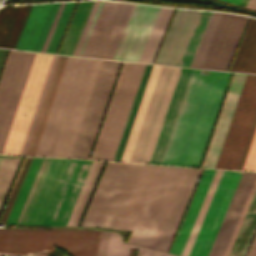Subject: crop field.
<instances>
[{
	"label": "crop field",
	"instance_id": "1",
	"mask_svg": "<svg viewBox=\"0 0 256 256\" xmlns=\"http://www.w3.org/2000/svg\"><path fill=\"white\" fill-rule=\"evenodd\" d=\"M194 69L161 164L176 165L207 75ZM231 73L210 71L177 165L199 167Z\"/></svg>",
	"mask_w": 256,
	"mask_h": 256
},
{
	"label": "crop field",
	"instance_id": "2",
	"mask_svg": "<svg viewBox=\"0 0 256 256\" xmlns=\"http://www.w3.org/2000/svg\"><path fill=\"white\" fill-rule=\"evenodd\" d=\"M101 61L68 58L34 156H69Z\"/></svg>",
	"mask_w": 256,
	"mask_h": 256
},
{
	"label": "crop field",
	"instance_id": "3",
	"mask_svg": "<svg viewBox=\"0 0 256 256\" xmlns=\"http://www.w3.org/2000/svg\"><path fill=\"white\" fill-rule=\"evenodd\" d=\"M188 168L144 165L117 228L128 243L155 248Z\"/></svg>",
	"mask_w": 256,
	"mask_h": 256
},
{
	"label": "crop field",
	"instance_id": "4",
	"mask_svg": "<svg viewBox=\"0 0 256 256\" xmlns=\"http://www.w3.org/2000/svg\"><path fill=\"white\" fill-rule=\"evenodd\" d=\"M105 2L106 1H102L99 6V9L95 15L92 25L85 38V41L78 54L80 56H82L85 51V48L88 44V41L91 37V34L94 30V27L97 23V20L100 16V13L103 9ZM112 3L113 2H110V1L106 2L83 56H86V57L90 56ZM127 5L128 3H119V2L113 3L90 57H95V58L105 57ZM134 5L135 4L128 5L126 12L122 18V21L119 25V28L115 34V37L112 41V44L105 58L111 59V57L113 56ZM159 8L160 7H156V6H148V5H140V4L135 5L133 12L130 16V19L127 23V26L125 28V31L122 35V38L119 42V45L112 59L138 61Z\"/></svg>",
	"mask_w": 256,
	"mask_h": 256
},
{
	"label": "crop field",
	"instance_id": "5",
	"mask_svg": "<svg viewBox=\"0 0 256 256\" xmlns=\"http://www.w3.org/2000/svg\"><path fill=\"white\" fill-rule=\"evenodd\" d=\"M101 231L0 229V254L47 256L55 246L73 256H96Z\"/></svg>",
	"mask_w": 256,
	"mask_h": 256
},
{
	"label": "crop field",
	"instance_id": "6",
	"mask_svg": "<svg viewBox=\"0 0 256 256\" xmlns=\"http://www.w3.org/2000/svg\"><path fill=\"white\" fill-rule=\"evenodd\" d=\"M142 166L108 162L81 226L116 228Z\"/></svg>",
	"mask_w": 256,
	"mask_h": 256
},
{
	"label": "crop field",
	"instance_id": "7",
	"mask_svg": "<svg viewBox=\"0 0 256 256\" xmlns=\"http://www.w3.org/2000/svg\"><path fill=\"white\" fill-rule=\"evenodd\" d=\"M60 3L0 8V47L39 51Z\"/></svg>",
	"mask_w": 256,
	"mask_h": 256
},
{
	"label": "crop field",
	"instance_id": "8",
	"mask_svg": "<svg viewBox=\"0 0 256 256\" xmlns=\"http://www.w3.org/2000/svg\"><path fill=\"white\" fill-rule=\"evenodd\" d=\"M145 66L123 64L91 159H114Z\"/></svg>",
	"mask_w": 256,
	"mask_h": 256
},
{
	"label": "crop field",
	"instance_id": "9",
	"mask_svg": "<svg viewBox=\"0 0 256 256\" xmlns=\"http://www.w3.org/2000/svg\"><path fill=\"white\" fill-rule=\"evenodd\" d=\"M247 19L213 13L190 67L226 70Z\"/></svg>",
	"mask_w": 256,
	"mask_h": 256
},
{
	"label": "crop field",
	"instance_id": "10",
	"mask_svg": "<svg viewBox=\"0 0 256 256\" xmlns=\"http://www.w3.org/2000/svg\"><path fill=\"white\" fill-rule=\"evenodd\" d=\"M180 69L161 67L129 162H149Z\"/></svg>",
	"mask_w": 256,
	"mask_h": 256
},
{
	"label": "crop field",
	"instance_id": "11",
	"mask_svg": "<svg viewBox=\"0 0 256 256\" xmlns=\"http://www.w3.org/2000/svg\"><path fill=\"white\" fill-rule=\"evenodd\" d=\"M120 63L102 61L69 157H89Z\"/></svg>",
	"mask_w": 256,
	"mask_h": 256
},
{
	"label": "crop field",
	"instance_id": "12",
	"mask_svg": "<svg viewBox=\"0 0 256 256\" xmlns=\"http://www.w3.org/2000/svg\"><path fill=\"white\" fill-rule=\"evenodd\" d=\"M36 53L11 51L0 81V153Z\"/></svg>",
	"mask_w": 256,
	"mask_h": 256
},
{
	"label": "crop field",
	"instance_id": "13",
	"mask_svg": "<svg viewBox=\"0 0 256 256\" xmlns=\"http://www.w3.org/2000/svg\"><path fill=\"white\" fill-rule=\"evenodd\" d=\"M53 55L37 53L2 153L19 155Z\"/></svg>",
	"mask_w": 256,
	"mask_h": 256
},
{
	"label": "crop field",
	"instance_id": "14",
	"mask_svg": "<svg viewBox=\"0 0 256 256\" xmlns=\"http://www.w3.org/2000/svg\"><path fill=\"white\" fill-rule=\"evenodd\" d=\"M255 110L256 76L247 75L215 168H236Z\"/></svg>",
	"mask_w": 256,
	"mask_h": 256
},
{
	"label": "crop field",
	"instance_id": "15",
	"mask_svg": "<svg viewBox=\"0 0 256 256\" xmlns=\"http://www.w3.org/2000/svg\"><path fill=\"white\" fill-rule=\"evenodd\" d=\"M67 161L43 160L16 224H41Z\"/></svg>",
	"mask_w": 256,
	"mask_h": 256
},
{
	"label": "crop field",
	"instance_id": "16",
	"mask_svg": "<svg viewBox=\"0 0 256 256\" xmlns=\"http://www.w3.org/2000/svg\"><path fill=\"white\" fill-rule=\"evenodd\" d=\"M241 173L223 172L188 256H207Z\"/></svg>",
	"mask_w": 256,
	"mask_h": 256
},
{
	"label": "crop field",
	"instance_id": "17",
	"mask_svg": "<svg viewBox=\"0 0 256 256\" xmlns=\"http://www.w3.org/2000/svg\"><path fill=\"white\" fill-rule=\"evenodd\" d=\"M93 161L69 160L41 225H65Z\"/></svg>",
	"mask_w": 256,
	"mask_h": 256
},
{
	"label": "crop field",
	"instance_id": "18",
	"mask_svg": "<svg viewBox=\"0 0 256 256\" xmlns=\"http://www.w3.org/2000/svg\"><path fill=\"white\" fill-rule=\"evenodd\" d=\"M255 179L256 173H242L208 256H224Z\"/></svg>",
	"mask_w": 256,
	"mask_h": 256
},
{
	"label": "crop field",
	"instance_id": "19",
	"mask_svg": "<svg viewBox=\"0 0 256 256\" xmlns=\"http://www.w3.org/2000/svg\"><path fill=\"white\" fill-rule=\"evenodd\" d=\"M199 13L176 10L154 63L178 64Z\"/></svg>",
	"mask_w": 256,
	"mask_h": 256
},
{
	"label": "crop field",
	"instance_id": "20",
	"mask_svg": "<svg viewBox=\"0 0 256 256\" xmlns=\"http://www.w3.org/2000/svg\"><path fill=\"white\" fill-rule=\"evenodd\" d=\"M246 75L234 74L202 167L214 168Z\"/></svg>",
	"mask_w": 256,
	"mask_h": 256
},
{
	"label": "crop field",
	"instance_id": "21",
	"mask_svg": "<svg viewBox=\"0 0 256 256\" xmlns=\"http://www.w3.org/2000/svg\"><path fill=\"white\" fill-rule=\"evenodd\" d=\"M186 69V70H184ZM193 69L182 68L149 163L160 164Z\"/></svg>",
	"mask_w": 256,
	"mask_h": 256
},
{
	"label": "crop field",
	"instance_id": "22",
	"mask_svg": "<svg viewBox=\"0 0 256 256\" xmlns=\"http://www.w3.org/2000/svg\"><path fill=\"white\" fill-rule=\"evenodd\" d=\"M201 170L195 168L188 169L155 249L167 251Z\"/></svg>",
	"mask_w": 256,
	"mask_h": 256
},
{
	"label": "crop field",
	"instance_id": "23",
	"mask_svg": "<svg viewBox=\"0 0 256 256\" xmlns=\"http://www.w3.org/2000/svg\"><path fill=\"white\" fill-rule=\"evenodd\" d=\"M215 171L216 170H210V169L204 170L202 177L199 181V184L197 186V189L194 193V196L191 200V203L188 207L186 215L177 233L175 241L169 252L170 254H174L178 256L180 255Z\"/></svg>",
	"mask_w": 256,
	"mask_h": 256
},
{
	"label": "crop field",
	"instance_id": "24",
	"mask_svg": "<svg viewBox=\"0 0 256 256\" xmlns=\"http://www.w3.org/2000/svg\"><path fill=\"white\" fill-rule=\"evenodd\" d=\"M68 57L59 56L49 83L26 154L33 156Z\"/></svg>",
	"mask_w": 256,
	"mask_h": 256
},
{
	"label": "crop field",
	"instance_id": "25",
	"mask_svg": "<svg viewBox=\"0 0 256 256\" xmlns=\"http://www.w3.org/2000/svg\"><path fill=\"white\" fill-rule=\"evenodd\" d=\"M256 73V19H250L229 71Z\"/></svg>",
	"mask_w": 256,
	"mask_h": 256
},
{
	"label": "crop field",
	"instance_id": "26",
	"mask_svg": "<svg viewBox=\"0 0 256 256\" xmlns=\"http://www.w3.org/2000/svg\"><path fill=\"white\" fill-rule=\"evenodd\" d=\"M160 67L161 66H155V65L152 66L144 93L142 95V98H141V101H140V104H139V107H138V110H137V113H136V116H135V119H134V122H133V125L131 128V131H130L129 137L127 139V142H126V145H125V148H124V151H123L120 161H127V162L129 161V158H130V155H131V152H132L135 140H136V136H137L146 106L148 104L152 89L154 87L157 75L159 73Z\"/></svg>",
	"mask_w": 256,
	"mask_h": 256
},
{
	"label": "crop field",
	"instance_id": "27",
	"mask_svg": "<svg viewBox=\"0 0 256 256\" xmlns=\"http://www.w3.org/2000/svg\"><path fill=\"white\" fill-rule=\"evenodd\" d=\"M94 1L79 2L58 53L71 55Z\"/></svg>",
	"mask_w": 256,
	"mask_h": 256
},
{
	"label": "crop field",
	"instance_id": "28",
	"mask_svg": "<svg viewBox=\"0 0 256 256\" xmlns=\"http://www.w3.org/2000/svg\"><path fill=\"white\" fill-rule=\"evenodd\" d=\"M173 10L171 8H160L138 62H152Z\"/></svg>",
	"mask_w": 256,
	"mask_h": 256
},
{
	"label": "crop field",
	"instance_id": "29",
	"mask_svg": "<svg viewBox=\"0 0 256 256\" xmlns=\"http://www.w3.org/2000/svg\"><path fill=\"white\" fill-rule=\"evenodd\" d=\"M43 159L33 158L5 223L15 224Z\"/></svg>",
	"mask_w": 256,
	"mask_h": 256
},
{
	"label": "crop field",
	"instance_id": "30",
	"mask_svg": "<svg viewBox=\"0 0 256 256\" xmlns=\"http://www.w3.org/2000/svg\"><path fill=\"white\" fill-rule=\"evenodd\" d=\"M252 201V200H251ZM256 225V193L229 256H243Z\"/></svg>",
	"mask_w": 256,
	"mask_h": 256
},
{
	"label": "crop field",
	"instance_id": "31",
	"mask_svg": "<svg viewBox=\"0 0 256 256\" xmlns=\"http://www.w3.org/2000/svg\"><path fill=\"white\" fill-rule=\"evenodd\" d=\"M212 13L201 12L178 65L189 67Z\"/></svg>",
	"mask_w": 256,
	"mask_h": 256
},
{
	"label": "crop field",
	"instance_id": "32",
	"mask_svg": "<svg viewBox=\"0 0 256 256\" xmlns=\"http://www.w3.org/2000/svg\"><path fill=\"white\" fill-rule=\"evenodd\" d=\"M22 158L0 156V207Z\"/></svg>",
	"mask_w": 256,
	"mask_h": 256
},
{
	"label": "crop field",
	"instance_id": "33",
	"mask_svg": "<svg viewBox=\"0 0 256 256\" xmlns=\"http://www.w3.org/2000/svg\"><path fill=\"white\" fill-rule=\"evenodd\" d=\"M130 248L139 249L137 256H173L129 244H125L120 239L119 235L111 232L110 240L106 256H128Z\"/></svg>",
	"mask_w": 256,
	"mask_h": 256
},
{
	"label": "crop field",
	"instance_id": "34",
	"mask_svg": "<svg viewBox=\"0 0 256 256\" xmlns=\"http://www.w3.org/2000/svg\"><path fill=\"white\" fill-rule=\"evenodd\" d=\"M223 171L217 170L180 256H187Z\"/></svg>",
	"mask_w": 256,
	"mask_h": 256
},
{
	"label": "crop field",
	"instance_id": "35",
	"mask_svg": "<svg viewBox=\"0 0 256 256\" xmlns=\"http://www.w3.org/2000/svg\"><path fill=\"white\" fill-rule=\"evenodd\" d=\"M76 2H66L45 52L55 53Z\"/></svg>",
	"mask_w": 256,
	"mask_h": 256
},
{
	"label": "crop field",
	"instance_id": "36",
	"mask_svg": "<svg viewBox=\"0 0 256 256\" xmlns=\"http://www.w3.org/2000/svg\"><path fill=\"white\" fill-rule=\"evenodd\" d=\"M152 65H147L114 160L119 161ZM145 90V89H144ZM144 93V92H143Z\"/></svg>",
	"mask_w": 256,
	"mask_h": 256
},
{
	"label": "crop field",
	"instance_id": "37",
	"mask_svg": "<svg viewBox=\"0 0 256 256\" xmlns=\"http://www.w3.org/2000/svg\"><path fill=\"white\" fill-rule=\"evenodd\" d=\"M57 57L58 56H56V55L53 56V59H52V62H51V65H50V68H49V71H48V74H47V77H46V80H45V83H44V86H43V89H42V92H41L38 104L36 106V109H35V112H34V115H33V118H32V121H31V124H30V127H29V130H28V133H27V136H26V139H25V142H24V145H23V148H22V151H21L20 155L25 154V151H26V148H27L32 130L34 128V125H35V122H36V119H37V116H38V113H39V110H40V107H41V104H42V101H43V98H44V95H45V92H46V89H47V86H48L49 80L51 78V75H52Z\"/></svg>",
	"mask_w": 256,
	"mask_h": 256
},
{
	"label": "crop field",
	"instance_id": "38",
	"mask_svg": "<svg viewBox=\"0 0 256 256\" xmlns=\"http://www.w3.org/2000/svg\"><path fill=\"white\" fill-rule=\"evenodd\" d=\"M105 162H99L72 225L77 226Z\"/></svg>",
	"mask_w": 256,
	"mask_h": 256
},
{
	"label": "crop field",
	"instance_id": "39",
	"mask_svg": "<svg viewBox=\"0 0 256 256\" xmlns=\"http://www.w3.org/2000/svg\"><path fill=\"white\" fill-rule=\"evenodd\" d=\"M98 162L94 161L66 225H71Z\"/></svg>",
	"mask_w": 256,
	"mask_h": 256
},
{
	"label": "crop field",
	"instance_id": "40",
	"mask_svg": "<svg viewBox=\"0 0 256 256\" xmlns=\"http://www.w3.org/2000/svg\"><path fill=\"white\" fill-rule=\"evenodd\" d=\"M99 4H100V1H95L94 2L93 6H92V9L90 11V14H89V16L87 18L85 26H84V28L82 30V33L80 35V38H79V40L77 42V45H76L75 50H74L72 55H77L78 54V52L80 50V47H81V45H82V43L84 41V38H85V36L87 34V31H88V29H89V27L91 25V22H92V20L94 18V15H95V13H96V11L98 9Z\"/></svg>",
	"mask_w": 256,
	"mask_h": 256
},
{
	"label": "crop field",
	"instance_id": "41",
	"mask_svg": "<svg viewBox=\"0 0 256 256\" xmlns=\"http://www.w3.org/2000/svg\"><path fill=\"white\" fill-rule=\"evenodd\" d=\"M32 158H27L0 223H4Z\"/></svg>",
	"mask_w": 256,
	"mask_h": 256
},
{
	"label": "crop field",
	"instance_id": "42",
	"mask_svg": "<svg viewBox=\"0 0 256 256\" xmlns=\"http://www.w3.org/2000/svg\"><path fill=\"white\" fill-rule=\"evenodd\" d=\"M242 170L256 171V131Z\"/></svg>",
	"mask_w": 256,
	"mask_h": 256
},
{
	"label": "crop field",
	"instance_id": "43",
	"mask_svg": "<svg viewBox=\"0 0 256 256\" xmlns=\"http://www.w3.org/2000/svg\"><path fill=\"white\" fill-rule=\"evenodd\" d=\"M255 191H256V181H255L254 186H253V188H252V191H251V193H250V195H249V198H248V200H247V203H246V205H245V207H244V210H243L242 215H241V217H240V220H239V222H238V224H237V227H236V229H235V232H234V234H233V236H232V239H231V241H230V244H229V246H228V248H227V251H226V253H225V256H228V255H229V252H230V250H231V248H232V245H233V243H234V240H235V238H236V236H237V233H238V231H239V229H240V226H241V224H242V222H243V219H244V217H245V215H246V212H247V210H248V208H249V205H250V203H251V200H252V198H253V196H254Z\"/></svg>",
	"mask_w": 256,
	"mask_h": 256
},
{
	"label": "crop field",
	"instance_id": "44",
	"mask_svg": "<svg viewBox=\"0 0 256 256\" xmlns=\"http://www.w3.org/2000/svg\"><path fill=\"white\" fill-rule=\"evenodd\" d=\"M255 128H256V113H255L253 122L251 124L250 130H249V133H248V136H247V139H246V142H245V145H244V148H243V151H242V154L240 156V159H239V162H238V165H237L236 169H239V170L242 169V166H243L245 157L247 155V152H248V149H249V146H250Z\"/></svg>",
	"mask_w": 256,
	"mask_h": 256
},
{
	"label": "crop field",
	"instance_id": "45",
	"mask_svg": "<svg viewBox=\"0 0 256 256\" xmlns=\"http://www.w3.org/2000/svg\"><path fill=\"white\" fill-rule=\"evenodd\" d=\"M64 3H65V2H62V3L60 4L59 8H58V11H57V13H56V15H55V18H54V20H53V22H52V25H51V27H50V29H49V32H48V34H47V36H46V39H45V41H44V43H43V46H42L41 50H40V51H42V52H44L45 49H46V46H47V44H48V42H49V39H50V37H51V34H52L53 29H54V27H55V25H56V22H57V20H58V17H59V15H60V12H61V10H62V8H63Z\"/></svg>",
	"mask_w": 256,
	"mask_h": 256
},
{
	"label": "crop field",
	"instance_id": "46",
	"mask_svg": "<svg viewBox=\"0 0 256 256\" xmlns=\"http://www.w3.org/2000/svg\"><path fill=\"white\" fill-rule=\"evenodd\" d=\"M110 232H102L98 256H105Z\"/></svg>",
	"mask_w": 256,
	"mask_h": 256
},
{
	"label": "crop field",
	"instance_id": "47",
	"mask_svg": "<svg viewBox=\"0 0 256 256\" xmlns=\"http://www.w3.org/2000/svg\"><path fill=\"white\" fill-rule=\"evenodd\" d=\"M247 256H256V236Z\"/></svg>",
	"mask_w": 256,
	"mask_h": 256
},
{
	"label": "crop field",
	"instance_id": "48",
	"mask_svg": "<svg viewBox=\"0 0 256 256\" xmlns=\"http://www.w3.org/2000/svg\"><path fill=\"white\" fill-rule=\"evenodd\" d=\"M7 51H8V50H2V49H0V71H1V68H2V66H3V63H4V60H5Z\"/></svg>",
	"mask_w": 256,
	"mask_h": 256
},
{
	"label": "crop field",
	"instance_id": "49",
	"mask_svg": "<svg viewBox=\"0 0 256 256\" xmlns=\"http://www.w3.org/2000/svg\"><path fill=\"white\" fill-rule=\"evenodd\" d=\"M224 1H228V2H232L241 6H246L248 0H224Z\"/></svg>",
	"mask_w": 256,
	"mask_h": 256
},
{
	"label": "crop field",
	"instance_id": "50",
	"mask_svg": "<svg viewBox=\"0 0 256 256\" xmlns=\"http://www.w3.org/2000/svg\"><path fill=\"white\" fill-rule=\"evenodd\" d=\"M246 7L256 9V0H249Z\"/></svg>",
	"mask_w": 256,
	"mask_h": 256
}]
</instances>
